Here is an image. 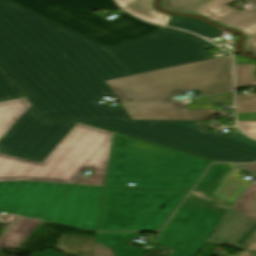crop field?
Masks as SVG:
<instances>
[{"label": "crop field", "instance_id": "obj_1", "mask_svg": "<svg viewBox=\"0 0 256 256\" xmlns=\"http://www.w3.org/2000/svg\"><path fill=\"white\" fill-rule=\"evenodd\" d=\"M99 43L0 0V69L27 95L72 87L66 54Z\"/></svg>", "mask_w": 256, "mask_h": 256}, {"label": "crop field", "instance_id": "obj_2", "mask_svg": "<svg viewBox=\"0 0 256 256\" xmlns=\"http://www.w3.org/2000/svg\"><path fill=\"white\" fill-rule=\"evenodd\" d=\"M29 106L26 98L0 103V138ZM111 137V132L77 123L42 163L0 154V180L70 182L93 169L88 179L73 183L103 186Z\"/></svg>", "mask_w": 256, "mask_h": 256}, {"label": "crop field", "instance_id": "obj_3", "mask_svg": "<svg viewBox=\"0 0 256 256\" xmlns=\"http://www.w3.org/2000/svg\"><path fill=\"white\" fill-rule=\"evenodd\" d=\"M215 46L188 33L163 28L111 47L99 45L67 55L73 85L209 59Z\"/></svg>", "mask_w": 256, "mask_h": 256}, {"label": "crop field", "instance_id": "obj_4", "mask_svg": "<svg viewBox=\"0 0 256 256\" xmlns=\"http://www.w3.org/2000/svg\"><path fill=\"white\" fill-rule=\"evenodd\" d=\"M80 122L129 135L211 160H256V141L239 131L216 134L204 131L199 121L81 120Z\"/></svg>", "mask_w": 256, "mask_h": 256}, {"label": "crop field", "instance_id": "obj_5", "mask_svg": "<svg viewBox=\"0 0 256 256\" xmlns=\"http://www.w3.org/2000/svg\"><path fill=\"white\" fill-rule=\"evenodd\" d=\"M118 100H166L199 91L203 96L232 90L230 56L105 81Z\"/></svg>", "mask_w": 256, "mask_h": 256}, {"label": "crop field", "instance_id": "obj_6", "mask_svg": "<svg viewBox=\"0 0 256 256\" xmlns=\"http://www.w3.org/2000/svg\"><path fill=\"white\" fill-rule=\"evenodd\" d=\"M44 18L94 39L106 46L147 35L163 27L154 26L122 12L112 21L93 10H116L113 0H14Z\"/></svg>", "mask_w": 256, "mask_h": 256}, {"label": "crop field", "instance_id": "obj_7", "mask_svg": "<svg viewBox=\"0 0 256 256\" xmlns=\"http://www.w3.org/2000/svg\"><path fill=\"white\" fill-rule=\"evenodd\" d=\"M186 194L105 188L98 231L158 230Z\"/></svg>", "mask_w": 256, "mask_h": 256}, {"label": "crop field", "instance_id": "obj_8", "mask_svg": "<svg viewBox=\"0 0 256 256\" xmlns=\"http://www.w3.org/2000/svg\"><path fill=\"white\" fill-rule=\"evenodd\" d=\"M112 93L102 81L30 96L28 100L47 120L131 119L122 105L109 108L105 103H97Z\"/></svg>", "mask_w": 256, "mask_h": 256}, {"label": "crop field", "instance_id": "obj_9", "mask_svg": "<svg viewBox=\"0 0 256 256\" xmlns=\"http://www.w3.org/2000/svg\"><path fill=\"white\" fill-rule=\"evenodd\" d=\"M169 151L113 133L104 186L141 189ZM128 183L137 185L126 186Z\"/></svg>", "mask_w": 256, "mask_h": 256}, {"label": "crop field", "instance_id": "obj_10", "mask_svg": "<svg viewBox=\"0 0 256 256\" xmlns=\"http://www.w3.org/2000/svg\"><path fill=\"white\" fill-rule=\"evenodd\" d=\"M228 210L208 198L190 194L174 217H195V222L184 225L169 221L157 244L176 249L171 256H194ZM202 234L207 235L203 241L199 240Z\"/></svg>", "mask_w": 256, "mask_h": 256}, {"label": "crop field", "instance_id": "obj_11", "mask_svg": "<svg viewBox=\"0 0 256 256\" xmlns=\"http://www.w3.org/2000/svg\"><path fill=\"white\" fill-rule=\"evenodd\" d=\"M75 124L46 122L30 106L0 139V153L42 162Z\"/></svg>", "mask_w": 256, "mask_h": 256}, {"label": "crop field", "instance_id": "obj_12", "mask_svg": "<svg viewBox=\"0 0 256 256\" xmlns=\"http://www.w3.org/2000/svg\"><path fill=\"white\" fill-rule=\"evenodd\" d=\"M102 190L103 187L69 185L40 219L96 230Z\"/></svg>", "mask_w": 256, "mask_h": 256}, {"label": "crop field", "instance_id": "obj_13", "mask_svg": "<svg viewBox=\"0 0 256 256\" xmlns=\"http://www.w3.org/2000/svg\"><path fill=\"white\" fill-rule=\"evenodd\" d=\"M67 186L36 182L0 183V210L39 218Z\"/></svg>", "mask_w": 256, "mask_h": 256}, {"label": "crop field", "instance_id": "obj_14", "mask_svg": "<svg viewBox=\"0 0 256 256\" xmlns=\"http://www.w3.org/2000/svg\"><path fill=\"white\" fill-rule=\"evenodd\" d=\"M133 120H206L214 104H232V92L192 100L188 109L179 103L121 102ZM122 105V106H123Z\"/></svg>", "mask_w": 256, "mask_h": 256}, {"label": "crop field", "instance_id": "obj_15", "mask_svg": "<svg viewBox=\"0 0 256 256\" xmlns=\"http://www.w3.org/2000/svg\"><path fill=\"white\" fill-rule=\"evenodd\" d=\"M211 162L171 150L142 189L189 191Z\"/></svg>", "mask_w": 256, "mask_h": 256}, {"label": "crop field", "instance_id": "obj_16", "mask_svg": "<svg viewBox=\"0 0 256 256\" xmlns=\"http://www.w3.org/2000/svg\"><path fill=\"white\" fill-rule=\"evenodd\" d=\"M241 169L226 165L213 164L193 193L210 196L230 207L237 200L242 191L249 184L237 176Z\"/></svg>", "mask_w": 256, "mask_h": 256}, {"label": "crop field", "instance_id": "obj_17", "mask_svg": "<svg viewBox=\"0 0 256 256\" xmlns=\"http://www.w3.org/2000/svg\"><path fill=\"white\" fill-rule=\"evenodd\" d=\"M210 240L235 244V249L243 250L238 256H256V221L232 210Z\"/></svg>", "mask_w": 256, "mask_h": 256}, {"label": "crop field", "instance_id": "obj_18", "mask_svg": "<svg viewBox=\"0 0 256 256\" xmlns=\"http://www.w3.org/2000/svg\"><path fill=\"white\" fill-rule=\"evenodd\" d=\"M236 0H213L196 15L242 31L246 37L256 33V9L237 11L228 4Z\"/></svg>", "mask_w": 256, "mask_h": 256}, {"label": "crop field", "instance_id": "obj_19", "mask_svg": "<svg viewBox=\"0 0 256 256\" xmlns=\"http://www.w3.org/2000/svg\"><path fill=\"white\" fill-rule=\"evenodd\" d=\"M136 236L134 232L97 233V241L110 246L117 256H142L146 249L127 246Z\"/></svg>", "mask_w": 256, "mask_h": 256}, {"label": "crop field", "instance_id": "obj_20", "mask_svg": "<svg viewBox=\"0 0 256 256\" xmlns=\"http://www.w3.org/2000/svg\"><path fill=\"white\" fill-rule=\"evenodd\" d=\"M39 221L19 219L0 238V249H15L39 224Z\"/></svg>", "mask_w": 256, "mask_h": 256}, {"label": "crop field", "instance_id": "obj_21", "mask_svg": "<svg viewBox=\"0 0 256 256\" xmlns=\"http://www.w3.org/2000/svg\"><path fill=\"white\" fill-rule=\"evenodd\" d=\"M120 4L133 14L153 23L164 24L168 16L160 14L151 8L152 0H118Z\"/></svg>", "mask_w": 256, "mask_h": 256}, {"label": "crop field", "instance_id": "obj_22", "mask_svg": "<svg viewBox=\"0 0 256 256\" xmlns=\"http://www.w3.org/2000/svg\"><path fill=\"white\" fill-rule=\"evenodd\" d=\"M256 173V163L240 166ZM233 209L256 219V181L243 194Z\"/></svg>", "mask_w": 256, "mask_h": 256}, {"label": "crop field", "instance_id": "obj_23", "mask_svg": "<svg viewBox=\"0 0 256 256\" xmlns=\"http://www.w3.org/2000/svg\"><path fill=\"white\" fill-rule=\"evenodd\" d=\"M168 26L178 27L182 29H186L197 33L202 36H206L209 38L219 36L221 33L219 30L213 29L201 22L192 20V19H185V18H178V17H171L167 23Z\"/></svg>", "mask_w": 256, "mask_h": 256}, {"label": "crop field", "instance_id": "obj_24", "mask_svg": "<svg viewBox=\"0 0 256 256\" xmlns=\"http://www.w3.org/2000/svg\"><path fill=\"white\" fill-rule=\"evenodd\" d=\"M210 1L211 0H161V7L168 10L195 14Z\"/></svg>", "mask_w": 256, "mask_h": 256}, {"label": "crop field", "instance_id": "obj_25", "mask_svg": "<svg viewBox=\"0 0 256 256\" xmlns=\"http://www.w3.org/2000/svg\"><path fill=\"white\" fill-rule=\"evenodd\" d=\"M256 64L236 65V88L256 85Z\"/></svg>", "mask_w": 256, "mask_h": 256}, {"label": "crop field", "instance_id": "obj_26", "mask_svg": "<svg viewBox=\"0 0 256 256\" xmlns=\"http://www.w3.org/2000/svg\"><path fill=\"white\" fill-rule=\"evenodd\" d=\"M25 96L1 71H0V102Z\"/></svg>", "mask_w": 256, "mask_h": 256}, {"label": "crop field", "instance_id": "obj_27", "mask_svg": "<svg viewBox=\"0 0 256 256\" xmlns=\"http://www.w3.org/2000/svg\"><path fill=\"white\" fill-rule=\"evenodd\" d=\"M237 114L256 112V95H237Z\"/></svg>", "mask_w": 256, "mask_h": 256}, {"label": "crop field", "instance_id": "obj_28", "mask_svg": "<svg viewBox=\"0 0 256 256\" xmlns=\"http://www.w3.org/2000/svg\"><path fill=\"white\" fill-rule=\"evenodd\" d=\"M238 125L246 134L256 138V122L238 121Z\"/></svg>", "mask_w": 256, "mask_h": 256}, {"label": "crop field", "instance_id": "obj_29", "mask_svg": "<svg viewBox=\"0 0 256 256\" xmlns=\"http://www.w3.org/2000/svg\"><path fill=\"white\" fill-rule=\"evenodd\" d=\"M243 49L250 54L256 55V34L245 39Z\"/></svg>", "mask_w": 256, "mask_h": 256}, {"label": "crop field", "instance_id": "obj_30", "mask_svg": "<svg viewBox=\"0 0 256 256\" xmlns=\"http://www.w3.org/2000/svg\"><path fill=\"white\" fill-rule=\"evenodd\" d=\"M237 120L256 121V113L237 115Z\"/></svg>", "mask_w": 256, "mask_h": 256}, {"label": "crop field", "instance_id": "obj_31", "mask_svg": "<svg viewBox=\"0 0 256 256\" xmlns=\"http://www.w3.org/2000/svg\"><path fill=\"white\" fill-rule=\"evenodd\" d=\"M32 256H64V255H61L59 253H56L47 249L44 252H42L40 255H32Z\"/></svg>", "mask_w": 256, "mask_h": 256}, {"label": "crop field", "instance_id": "obj_32", "mask_svg": "<svg viewBox=\"0 0 256 256\" xmlns=\"http://www.w3.org/2000/svg\"><path fill=\"white\" fill-rule=\"evenodd\" d=\"M171 220L180 222V223H184V224H188V223L193 222L195 219L194 218H181V219L172 218Z\"/></svg>", "mask_w": 256, "mask_h": 256}, {"label": "crop field", "instance_id": "obj_33", "mask_svg": "<svg viewBox=\"0 0 256 256\" xmlns=\"http://www.w3.org/2000/svg\"><path fill=\"white\" fill-rule=\"evenodd\" d=\"M256 6V0H247Z\"/></svg>", "mask_w": 256, "mask_h": 256}, {"label": "crop field", "instance_id": "obj_34", "mask_svg": "<svg viewBox=\"0 0 256 256\" xmlns=\"http://www.w3.org/2000/svg\"><path fill=\"white\" fill-rule=\"evenodd\" d=\"M204 237H205V236H204V235H202L201 239L203 240V239H204Z\"/></svg>", "mask_w": 256, "mask_h": 256}, {"label": "crop field", "instance_id": "obj_35", "mask_svg": "<svg viewBox=\"0 0 256 256\" xmlns=\"http://www.w3.org/2000/svg\"><path fill=\"white\" fill-rule=\"evenodd\" d=\"M226 164H229V163H226ZM231 165H234V166H236L237 164H231Z\"/></svg>", "mask_w": 256, "mask_h": 256}, {"label": "crop field", "instance_id": "obj_36", "mask_svg": "<svg viewBox=\"0 0 256 256\" xmlns=\"http://www.w3.org/2000/svg\"><path fill=\"white\" fill-rule=\"evenodd\" d=\"M209 198V197H208ZM220 203V202H219ZM222 204V203H221ZM224 205V204H223ZM226 206V205H225ZM228 207V206H227ZM230 208V207H229Z\"/></svg>", "mask_w": 256, "mask_h": 256}]
</instances>
